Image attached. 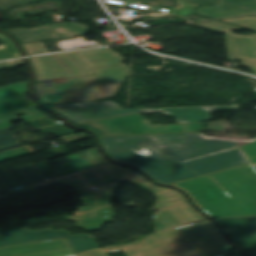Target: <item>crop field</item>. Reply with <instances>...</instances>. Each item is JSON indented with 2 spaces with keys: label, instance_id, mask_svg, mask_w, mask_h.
<instances>
[{
  "label": "crop field",
  "instance_id": "obj_42",
  "mask_svg": "<svg viewBox=\"0 0 256 256\" xmlns=\"http://www.w3.org/2000/svg\"><path fill=\"white\" fill-rule=\"evenodd\" d=\"M228 256H230V255H228Z\"/></svg>",
  "mask_w": 256,
  "mask_h": 256
},
{
  "label": "crop field",
  "instance_id": "obj_32",
  "mask_svg": "<svg viewBox=\"0 0 256 256\" xmlns=\"http://www.w3.org/2000/svg\"><path fill=\"white\" fill-rule=\"evenodd\" d=\"M54 123H55L54 121H51L48 118L41 119V120L34 121V122H30V124H32L35 128L49 126V125L54 124Z\"/></svg>",
  "mask_w": 256,
  "mask_h": 256
},
{
  "label": "crop field",
  "instance_id": "obj_4",
  "mask_svg": "<svg viewBox=\"0 0 256 256\" xmlns=\"http://www.w3.org/2000/svg\"><path fill=\"white\" fill-rule=\"evenodd\" d=\"M125 181L136 184L154 194L170 190L157 188L151 185L135 171L110 164L96 169L7 191L4 196L0 195V200L6 199V196L31 192L40 187L65 184L73 188L80 195V198L77 199H82L83 204H110L118 184ZM93 187L97 189H91Z\"/></svg>",
  "mask_w": 256,
  "mask_h": 256
},
{
  "label": "crop field",
  "instance_id": "obj_33",
  "mask_svg": "<svg viewBox=\"0 0 256 256\" xmlns=\"http://www.w3.org/2000/svg\"><path fill=\"white\" fill-rule=\"evenodd\" d=\"M102 207H105V206H82V207H77V212H75L74 214L77 215V214L85 213V212L92 211V210L102 208Z\"/></svg>",
  "mask_w": 256,
  "mask_h": 256
},
{
  "label": "crop field",
  "instance_id": "obj_28",
  "mask_svg": "<svg viewBox=\"0 0 256 256\" xmlns=\"http://www.w3.org/2000/svg\"><path fill=\"white\" fill-rule=\"evenodd\" d=\"M38 130H42L44 132L50 131V132H52V133H54L58 136L74 133V131L69 130V129H65L61 125H55V126L47 127V128H44V129H38Z\"/></svg>",
  "mask_w": 256,
  "mask_h": 256
},
{
  "label": "crop field",
  "instance_id": "obj_36",
  "mask_svg": "<svg viewBox=\"0 0 256 256\" xmlns=\"http://www.w3.org/2000/svg\"><path fill=\"white\" fill-rule=\"evenodd\" d=\"M18 229L19 228H17V227L7 228V229H0V234H4V233L11 232V231L18 230Z\"/></svg>",
  "mask_w": 256,
  "mask_h": 256
},
{
  "label": "crop field",
  "instance_id": "obj_25",
  "mask_svg": "<svg viewBox=\"0 0 256 256\" xmlns=\"http://www.w3.org/2000/svg\"><path fill=\"white\" fill-rule=\"evenodd\" d=\"M224 21L256 30V16L233 18V19H224Z\"/></svg>",
  "mask_w": 256,
  "mask_h": 256
},
{
  "label": "crop field",
  "instance_id": "obj_30",
  "mask_svg": "<svg viewBox=\"0 0 256 256\" xmlns=\"http://www.w3.org/2000/svg\"><path fill=\"white\" fill-rule=\"evenodd\" d=\"M73 251H61V252H53V253H45V254H29V255H23V256H69L73 255Z\"/></svg>",
  "mask_w": 256,
  "mask_h": 256
},
{
  "label": "crop field",
  "instance_id": "obj_21",
  "mask_svg": "<svg viewBox=\"0 0 256 256\" xmlns=\"http://www.w3.org/2000/svg\"><path fill=\"white\" fill-rule=\"evenodd\" d=\"M20 113L26 114L27 116L17 118L15 115L20 114ZM45 117H46V115L43 114L38 109L13 113V114L5 115V116H0V129L11 126L12 124H10L9 122L17 120V119H22L25 122H30V121H34V120L45 118Z\"/></svg>",
  "mask_w": 256,
  "mask_h": 256
},
{
  "label": "crop field",
  "instance_id": "obj_24",
  "mask_svg": "<svg viewBox=\"0 0 256 256\" xmlns=\"http://www.w3.org/2000/svg\"><path fill=\"white\" fill-rule=\"evenodd\" d=\"M193 25H197V26H201V27H205V28H209V29H213V30H217V31H231V30H235V29H241L239 27L232 26V25L225 24V23L218 22V21L209 22V23H197V24H193Z\"/></svg>",
  "mask_w": 256,
  "mask_h": 256
},
{
  "label": "crop field",
  "instance_id": "obj_40",
  "mask_svg": "<svg viewBox=\"0 0 256 256\" xmlns=\"http://www.w3.org/2000/svg\"><path fill=\"white\" fill-rule=\"evenodd\" d=\"M136 203H137V201L132 202V203L128 204V206H134Z\"/></svg>",
  "mask_w": 256,
  "mask_h": 256
},
{
  "label": "crop field",
  "instance_id": "obj_12",
  "mask_svg": "<svg viewBox=\"0 0 256 256\" xmlns=\"http://www.w3.org/2000/svg\"><path fill=\"white\" fill-rule=\"evenodd\" d=\"M65 237L75 254L98 248L94 238L88 235L71 236L66 231L43 230L38 232L22 229L19 231L0 235V247L10 246L26 242H37L55 238Z\"/></svg>",
  "mask_w": 256,
  "mask_h": 256
},
{
  "label": "crop field",
  "instance_id": "obj_38",
  "mask_svg": "<svg viewBox=\"0 0 256 256\" xmlns=\"http://www.w3.org/2000/svg\"><path fill=\"white\" fill-rule=\"evenodd\" d=\"M179 2L186 3L189 7L198 6L197 4H193V3H189V2H185V1H181V0H179Z\"/></svg>",
  "mask_w": 256,
  "mask_h": 256
},
{
  "label": "crop field",
  "instance_id": "obj_26",
  "mask_svg": "<svg viewBox=\"0 0 256 256\" xmlns=\"http://www.w3.org/2000/svg\"><path fill=\"white\" fill-rule=\"evenodd\" d=\"M11 128H13V127H9V128L0 130V147L18 143V141H16L13 138V133L10 130Z\"/></svg>",
  "mask_w": 256,
  "mask_h": 256
},
{
  "label": "crop field",
  "instance_id": "obj_35",
  "mask_svg": "<svg viewBox=\"0 0 256 256\" xmlns=\"http://www.w3.org/2000/svg\"><path fill=\"white\" fill-rule=\"evenodd\" d=\"M203 5L215 4L216 0H189Z\"/></svg>",
  "mask_w": 256,
  "mask_h": 256
},
{
  "label": "crop field",
  "instance_id": "obj_20",
  "mask_svg": "<svg viewBox=\"0 0 256 256\" xmlns=\"http://www.w3.org/2000/svg\"><path fill=\"white\" fill-rule=\"evenodd\" d=\"M114 216V209L110 206L66 219L76 220L78 227L85 230L98 231L104 222H114Z\"/></svg>",
  "mask_w": 256,
  "mask_h": 256
},
{
  "label": "crop field",
  "instance_id": "obj_15",
  "mask_svg": "<svg viewBox=\"0 0 256 256\" xmlns=\"http://www.w3.org/2000/svg\"><path fill=\"white\" fill-rule=\"evenodd\" d=\"M25 92L27 81L0 88V115L37 107L32 101L21 98Z\"/></svg>",
  "mask_w": 256,
  "mask_h": 256
},
{
  "label": "crop field",
  "instance_id": "obj_41",
  "mask_svg": "<svg viewBox=\"0 0 256 256\" xmlns=\"http://www.w3.org/2000/svg\"><path fill=\"white\" fill-rule=\"evenodd\" d=\"M106 252H107V253H108V252H112V250H111V249H107Z\"/></svg>",
  "mask_w": 256,
  "mask_h": 256
},
{
  "label": "crop field",
  "instance_id": "obj_9",
  "mask_svg": "<svg viewBox=\"0 0 256 256\" xmlns=\"http://www.w3.org/2000/svg\"><path fill=\"white\" fill-rule=\"evenodd\" d=\"M77 126L88 128L95 132L99 137L203 131L202 123L152 126L138 114L78 124Z\"/></svg>",
  "mask_w": 256,
  "mask_h": 256
},
{
  "label": "crop field",
  "instance_id": "obj_1",
  "mask_svg": "<svg viewBox=\"0 0 256 256\" xmlns=\"http://www.w3.org/2000/svg\"><path fill=\"white\" fill-rule=\"evenodd\" d=\"M172 185L212 218L256 216V169L249 164Z\"/></svg>",
  "mask_w": 256,
  "mask_h": 256
},
{
  "label": "crop field",
  "instance_id": "obj_19",
  "mask_svg": "<svg viewBox=\"0 0 256 256\" xmlns=\"http://www.w3.org/2000/svg\"><path fill=\"white\" fill-rule=\"evenodd\" d=\"M230 59L256 58V34L244 36L227 32Z\"/></svg>",
  "mask_w": 256,
  "mask_h": 256
},
{
  "label": "crop field",
  "instance_id": "obj_27",
  "mask_svg": "<svg viewBox=\"0 0 256 256\" xmlns=\"http://www.w3.org/2000/svg\"><path fill=\"white\" fill-rule=\"evenodd\" d=\"M33 0H0V11L30 2ZM57 1V0H54Z\"/></svg>",
  "mask_w": 256,
  "mask_h": 256
},
{
  "label": "crop field",
  "instance_id": "obj_2",
  "mask_svg": "<svg viewBox=\"0 0 256 256\" xmlns=\"http://www.w3.org/2000/svg\"><path fill=\"white\" fill-rule=\"evenodd\" d=\"M220 230L206 221L151 235L138 245L113 248L125 256H223L232 247L221 236ZM73 256H107L102 248Z\"/></svg>",
  "mask_w": 256,
  "mask_h": 256
},
{
  "label": "crop field",
  "instance_id": "obj_10",
  "mask_svg": "<svg viewBox=\"0 0 256 256\" xmlns=\"http://www.w3.org/2000/svg\"><path fill=\"white\" fill-rule=\"evenodd\" d=\"M158 201L154 215L156 233L182 225L204 220L175 190L156 194Z\"/></svg>",
  "mask_w": 256,
  "mask_h": 256
},
{
  "label": "crop field",
  "instance_id": "obj_34",
  "mask_svg": "<svg viewBox=\"0 0 256 256\" xmlns=\"http://www.w3.org/2000/svg\"><path fill=\"white\" fill-rule=\"evenodd\" d=\"M196 8H197V7L180 9L177 14H179V15L185 17V16H187V15H189V14H192V13L195 11Z\"/></svg>",
  "mask_w": 256,
  "mask_h": 256
},
{
  "label": "crop field",
  "instance_id": "obj_13",
  "mask_svg": "<svg viewBox=\"0 0 256 256\" xmlns=\"http://www.w3.org/2000/svg\"><path fill=\"white\" fill-rule=\"evenodd\" d=\"M86 28V26L78 22H69L41 26L36 29L21 28L7 31L12 32L21 43H24L56 38L83 36Z\"/></svg>",
  "mask_w": 256,
  "mask_h": 256
},
{
  "label": "crop field",
  "instance_id": "obj_8",
  "mask_svg": "<svg viewBox=\"0 0 256 256\" xmlns=\"http://www.w3.org/2000/svg\"><path fill=\"white\" fill-rule=\"evenodd\" d=\"M69 163L62 166H53L48 160L20 167L0 173V192L17 188L31 183L45 180L44 178H56L59 176L80 172L106 164L97 148H91L68 155Z\"/></svg>",
  "mask_w": 256,
  "mask_h": 256
},
{
  "label": "crop field",
  "instance_id": "obj_17",
  "mask_svg": "<svg viewBox=\"0 0 256 256\" xmlns=\"http://www.w3.org/2000/svg\"><path fill=\"white\" fill-rule=\"evenodd\" d=\"M69 249H71V247L65 238H61L38 243H27L0 248V256H17L29 253H45Z\"/></svg>",
  "mask_w": 256,
  "mask_h": 256
},
{
  "label": "crop field",
  "instance_id": "obj_23",
  "mask_svg": "<svg viewBox=\"0 0 256 256\" xmlns=\"http://www.w3.org/2000/svg\"><path fill=\"white\" fill-rule=\"evenodd\" d=\"M0 41L5 45L3 49H0V60L21 56L15 45L7 36L0 34Z\"/></svg>",
  "mask_w": 256,
  "mask_h": 256
},
{
  "label": "crop field",
  "instance_id": "obj_31",
  "mask_svg": "<svg viewBox=\"0 0 256 256\" xmlns=\"http://www.w3.org/2000/svg\"><path fill=\"white\" fill-rule=\"evenodd\" d=\"M22 64H24L22 59L2 62V63H0V70L18 66V65H22Z\"/></svg>",
  "mask_w": 256,
  "mask_h": 256
},
{
  "label": "crop field",
  "instance_id": "obj_22",
  "mask_svg": "<svg viewBox=\"0 0 256 256\" xmlns=\"http://www.w3.org/2000/svg\"><path fill=\"white\" fill-rule=\"evenodd\" d=\"M105 1L111 2V3H116V4H121V5H126V6H131V7H136V8L161 11V12L168 13V14H171V15H175L180 8L188 7L186 4L179 3V2H177V4L179 5L177 8L162 9V8L148 7V6L141 5V2H139L138 0L137 1H133V0H105Z\"/></svg>",
  "mask_w": 256,
  "mask_h": 256
},
{
  "label": "crop field",
  "instance_id": "obj_37",
  "mask_svg": "<svg viewBox=\"0 0 256 256\" xmlns=\"http://www.w3.org/2000/svg\"><path fill=\"white\" fill-rule=\"evenodd\" d=\"M20 146H21L20 144H17V145H13V146L1 148V149H0V152H1V151H5V150H9V149H12V148L20 147Z\"/></svg>",
  "mask_w": 256,
  "mask_h": 256
},
{
  "label": "crop field",
  "instance_id": "obj_11",
  "mask_svg": "<svg viewBox=\"0 0 256 256\" xmlns=\"http://www.w3.org/2000/svg\"><path fill=\"white\" fill-rule=\"evenodd\" d=\"M49 107L74 124L101 120L120 115L139 112H154L158 110L154 108L124 109L112 101L59 104L49 105Z\"/></svg>",
  "mask_w": 256,
  "mask_h": 256
},
{
  "label": "crop field",
  "instance_id": "obj_39",
  "mask_svg": "<svg viewBox=\"0 0 256 256\" xmlns=\"http://www.w3.org/2000/svg\"><path fill=\"white\" fill-rule=\"evenodd\" d=\"M248 255H250V256H256V251H254V252H246Z\"/></svg>",
  "mask_w": 256,
  "mask_h": 256
},
{
  "label": "crop field",
  "instance_id": "obj_14",
  "mask_svg": "<svg viewBox=\"0 0 256 256\" xmlns=\"http://www.w3.org/2000/svg\"><path fill=\"white\" fill-rule=\"evenodd\" d=\"M229 231L243 251L256 250V217L215 219Z\"/></svg>",
  "mask_w": 256,
  "mask_h": 256
},
{
  "label": "crop field",
  "instance_id": "obj_7",
  "mask_svg": "<svg viewBox=\"0 0 256 256\" xmlns=\"http://www.w3.org/2000/svg\"><path fill=\"white\" fill-rule=\"evenodd\" d=\"M36 80L42 82L53 79L95 74L91 68L119 65L125 61L110 48L55 54L29 58Z\"/></svg>",
  "mask_w": 256,
  "mask_h": 256
},
{
  "label": "crop field",
  "instance_id": "obj_16",
  "mask_svg": "<svg viewBox=\"0 0 256 256\" xmlns=\"http://www.w3.org/2000/svg\"><path fill=\"white\" fill-rule=\"evenodd\" d=\"M197 13L214 18L256 14V0H219L218 5L200 7Z\"/></svg>",
  "mask_w": 256,
  "mask_h": 256
},
{
  "label": "crop field",
  "instance_id": "obj_18",
  "mask_svg": "<svg viewBox=\"0 0 256 256\" xmlns=\"http://www.w3.org/2000/svg\"><path fill=\"white\" fill-rule=\"evenodd\" d=\"M238 107H200L163 109L159 113L176 117L178 123L204 122L211 118V111L237 110Z\"/></svg>",
  "mask_w": 256,
  "mask_h": 256
},
{
  "label": "crop field",
  "instance_id": "obj_3",
  "mask_svg": "<svg viewBox=\"0 0 256 256\" xmlns=\"http://www.w3.org/2000/svg\"><path fill=\"white\" fill-rule=\"evenodd\" d=\"M142 148L148 150L151 155H138L128 150L110 155V157L116 161L133 164L164 184L179 182L248 162L238 148L180 163L151 146Z\"/></svg>",
  "mask_w": 256,
  "mask_h": 256
},
{
  "label": "crop field",
  "instance_id": "obj_5",
  "mask_svg": "<svg viewBox=\"0 0 256 256\" xmlns=\"http://www.w3.org/2000/svg\"><path fill=\"white\" fill-rule=\"evenodd\" d=\"M97 75L35 83V94L43 104L97 101L116 96L129 75L127 65L93 69Z\"/></svg>",
  "mask_w": 256,
  "mask_h": 256
},
{
  "label": "crop field",
  "instance_id": "obj_29",
  "mask_svg": "<svg viewBox=\"0 0 256 256\" xmlns=\"http://www.w3.org/2000/svg\"><path fill=\"white\" fill-rule=\"evenodd\" d=\"M241 148L252 163L256 164V142L242 146Z\"/></svg>",
  "mask_w": 256,
  "mask_h": 256
},
{
  "label": "crop field",
  "instance_id": "obj_6",
  "mask_svg": "<svg viewBox=\"0 0 256 256\" xmlns=\"http://www.w3.org/2000/svg\"><path fill=\"white\" fill-rule=\"evenodd\" d=\"M101 139L108 155L138 146L152 145L178 162L238 147L236 142L203 139L194 133L117 136Z\"/></svg>",
  "mask_w": 256,
  "mask_h": 256
}]
</instances>
